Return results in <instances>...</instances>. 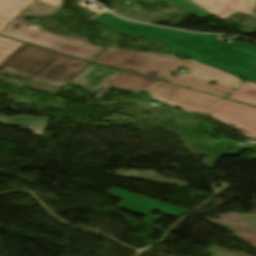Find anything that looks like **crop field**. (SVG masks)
I'll list each match as a JSON object with an SVG mask.
<instances>
[{"label": "crop field", "mask_w": 256, "mask_h": 256, "mask_svg": "<svg viewBox=\"0 0 256 256\" xmlns=\"http://www.w3.org/2000/svg\"><path fill=\"white\" fill-rule=\"evenodd\" d=\"M238 53L236 49H220L216 57L214 58V61L224 60L226 57H224V54H233Z\"/></svg>", "instance_id": "obj_19"}, {"label": "crop field", "mask_w": 256, "mask_h": 256, "mask_svg": "<svg viewBox=\"0 0 256 256\" xmlns=\"http://www.w3.org/2000/svg\"><path fill=\"white\" fill-rule=\"evenodd\" d=\"M123 71L91 63L69 85L77 86L89 94L96 95Z\"/></svg>", "instance_id": "obj_9"}, {"label": "crop field", "mask_w": 256, "mask_h": 256, "mask_svg": "<svg viewBox=\"0 0 256 256\" xmlns=\"http://www.w3.org/2000/svg\"><path fill=\"white\" fill-rule=\"evenodd\" d=\"M156 81L157 80L125 72L105 90L98 94L97 97L100 98L103 96L111 87L126 89L130 91H145Z\"/></svg>", "instance_id": "obj_12"}, {"label": "crop field", "mask_w": 256, "mask_h": 256, "mask_svg": "<svg viewBox=\"0 0 256 256\" xmlns=\"http://www.w3.org/2000/svg\"><path fill=\"white\" fill-rule=\"evenodd\" d=\"M140 38L165 40L168 42V45L164 49L174 51L185 56L188 55V53L192 50L194 45H200L204 41V37L202 34H200V36L194 35L193 37L184 40L174 39L151 33H148L144 36H140Z\"/></svg>", "instance_id": "obj_13"}, {"label": "crop field", "mask_w": 256, "mask_h": 256, "mask_svg": "<svg viewBox=\"0 0 256 256\" xmlns=\"http://www.w3.org/2000/svg\"><path fill=\"white\" fill-rule=\"evenodd\" d=\"M59 10L57 7L37 1L22 15L26 17L48 16L59 12ZM22 15L0 32V35L26 41L90 62L106 50L105 48L91 46L80 40L57 36L37 25H28L26 21L19 19Z\"/></svg>", "instance_id": "obj_2"}, {"label": "crop field", "mask_w": 256, "mask_h": 256, "mask_svg": "<svg viewBox=\"0 0 256 256\" xmlns=\"http://www.w3.org/2000/svg\"><path fill=\"white\" fill-rule=\"evenodd\" d=\"M89 64L23 44L0 64V69L63 87Z\"/></svg>", "instance_id": "obj_1"}, {"label": "crop field", "mask_w": 256, "mask_h": 256, "mask_svg": "<svg viewBox=\"0 0 256 256\" xmlns=\"http://www.w3.org/2000/svg\"><path fill=\"white\" fill-rule=\"evenodd\" d=\"M207 9L217 18H222L232 11L252 14L256 0H193Z\"/></svg>", "instance_id": "obj_11"}, {"label": "crop field", "mask_w": 256, "mask_h": 256, "mask_svg": "<svg viewBox=\"0 0 256 256\" xmlns=\"http://www.w3.org/2000/svg\"><path fill=\"white\" fill-rule=\"evenodd\" d=\"M204 36L205 41L200 46H194L187 57L256 83V56L247 59L240 56L247 52L254 51L256 48L247 43H225L217 40V35ZM220 48H236L240 53L225 55L228 58L227 60L213 62L212 60Z\"/></svg>", "instance_id": "obj_4"}, {"label": "crop field", "mask_w": 256, "mask_h": 256, "mask_svg": "<svg viewBox=\"0 0 256 256\" xmlns=\"http://www.w3.org/2000/svg\"><path fill=\"white\" fill-rule=\"evenodd\" d=\"M145 92L184 112H198L203 115H208L224 100L161 81H157Z\"/></svg>", "instance_id": "obj_6"}, {"label": "crop field", "mask_w": 256, "mask_h": 256, "mask_svg": "<svg viewBox=\"0 0 256 256\" xmlns=\"http://www.w3.org/2000/svg\"><path fill=\"white\" fill-rule=\"evenodd\" d=\"M35 0H0V30Z\"/></svg>", "instance_id": "obj_14"}, {"label": "crop field", "mask_w": 256, "mask_h": 256, "mask_svg": "<svg viewBox=\"0 0 256 256\" xmlns=\"http://www.w3.org/2000/svg\"><path fill=\"white\" fill-rule=\"evenodd\" d=\"M208 117L224 123L243 136L256 139V108L254 107L225 100Z\"/></svg>", "instance_id": "obj_7"}, {"label": "crop field", "mask_w": 256, "mask_h": 256, "mask_svg": "<svg viewBox=\"0 0 256 256\" xmlns=\"http://www.w3.org/2000/svg\"><path fill=\"white\" fill-rule=\"evenodd\" d=\"M23 43L0 37V63L18 49Z\"/></svg>", "instance_id": "obj_18"}, {"label": "crop field", "mask_w": 256, "mask_h": 256, "mask_svg": "<svg viewBox=\"0 0 256 256\" xmlns=\"http://www.w3.org/2000/svg\"><path fill=\"white\" fill-rule=\"evenodd\" d=\"M97 22L133 36H139L147 32H151V33H156L160 35L183 39V38L191 37L193 35V33L182 32V31H177L172 29L148 26V25L133 23L129 21H118L105 16L99 18Z\"/></svg>", "instance_id": "obj_10"}, {"label": "crop field", "mask_w": 256, "mask_h": 256, "mask_svg": "<svg viewBox=\"0 0 256 256\" xmlns=\"http://www.w3.org/2000/svg\"><path fill=\"white\" fill-rule=\"evenodd\" d=\"M180 61L172 56L110 47L93 62L159 79Z\"/></svg>", "instance_id": "obj_5"}, {"label": "crop field", "mask_w": 256, "mask_h": 256, "mask_svg": "<svg viewBox=\"0 0 256 256\" xmlns=\"http://www.w3.org/2000/svg\"><path fill=\"white\" fill-rule=\"evenodd\" d=\"M228 99L256 106V84L249 81L245 82Z\"/></svg>", "instance_id": "obj_17"}, {"label": "crop field", "mask_w": 256, "mask_h": 256, "mask_svg": "<svg viewBox=\"0 0 256 256\" xmlns=\"http://www.w3.org/2000/svg\"><path fill=\"white\" fill-rule=\"evenodd\" d=\"M250 160H256V155H255V157H252Z\"/></svg>", "instance_id": "obj_24"}, {"label": "crop field", "mask_w": 256, "mask_h": 256, "mask_svg": "<svg viewBox=\"0 0 256 256\" xmlns=\"http://www.w3.org/2000/svg\"><path fill=\"white\" fill-rule=\"evenodd\" d=\"M253 55H256V51H255V52L248 53V54H246V55H243V57L247 58V57H250V56H253Z\"/></svg>", "instance_id": "obj_23"}, {"label": "crop field", "mask_w": 256, "mask_h": 256, "mask_svg": "<svg viewBox=\"0 0 256 256\" xmlns=\"http://www.w3.org/2000/svg\"><path fill=\"white\" fill-rule=\"evenodd\" d=\"M232 13H233V12H232ZM230 14H231V13H230ZM228 15H229V14H228ZM228 15H227V16H228ZM227 16H226V17H227ZM226 17H224V18H226ZM224 18H223V19H224Z\"/></svg>", "instance_id": "obj_25"}, {"label": "crop field", "mask_w": 256, "mask_h": 256, "mask_svg": "<svg viewBox=\"0 0 256 256\" xmlns=\"http://www.w3.org/2000/svg\"><path fill=\"white\" fill-rule=\"evenodd\" d=\"M243 148L234 147L230 152V156H236Z\"/></svg>", "instance_id": "obj_21"}, {"label": "crop field", "mask_w": 256, "mask_h": 256, "mask_svg": "<svg viewBox=\"0 0 256 256\" xmlns=\"http://www.w3.org/2000/svg\"><path fill=\"white\" fill-rule=\"evenodd\" d=\"M102 15H105V16H108V17H112V18H115V19H119V18H117V17H115V16H113V15H111V14H109V13H105V14H100V15H98V17L95 18L93 21L96 22V20H97L100 16H102ZM119 20H121V19H119Z\"/></svg>", "instance_id": "obj_22"}, {"label": "crop field", "mask_w": 256, "mask_h": 256, "mask_svg": "<svg viewBox=\"0 0 256 256\" xmlns=\"http://www.w3.org/2000/svg\"><path fill=\"white\" fill-rule=\"evenodd\" d=\"M133 1L142 2L146 4H150L157 1L169 2L176 5L178 9L192 15H196L203 18H208L209 16L212 15L210 12L203 9L202 7H200L199 5H197L191 0H133Z\"/></svg>", "instance_id": "obj_16"}, {"label": "crop field", "mask_w": 256, "mask_h": 256, "mask_svg": "<svg viewBox=\"0 0 256 256\" xmlns=\"http://www.w3.org/2000/svg\"><path fill=\"white\" fill-rule=\"evenodd\" d=\"M178 68L186 69L189 73L181 74L177 72ZM172 72L175 73L176 76H171L170 74ZM160 79L220 95L225 98L244 83L231 74L192 59L182 60ZM213 81L216 82V84L211 85L210 82Z\"/></svg>", "instance_id": "obj_3"}, {"label": "crop field", "mask_w": 256, "mask_h": 256, "mask_svg": "<svg viewBox=\"0 0 256 256\" xmlns=\"http://www.w3.org/2000/svg\"><path fill=\"white\" fill-rule=\"evenodd\" d=\"M41 1L52 4V5L57 6L59 8L62 7V3H60L62 0H41Z\"/></svg>", "instance_id": "obj_20"}, {"label": "crop field", "mask_w": 256, "mask_h": 256, "mask_svg": "<svg viewBox=\"0 0 256 256\" xmlns=\"http://www.w3.org/2000/svg\"><path fill=\"white\" fill-rule=\"evenodd\" d=\"M105 195L123 199L118 204L119 208L147 216V218L144 220L146 225H148L156 230H158L160 228L154 226L152 223L155 222L159 218H157L153 215H150L154 209L166 212L168 214H171V215H174L177 217L181 216L182 214H184L188 211V210H184L182 208H176L174 206H171V205H168V204H165V203L153 200V199L141 197V196L123 191V190L115 188V187H113L108 192H106ZM122 202H125V203L122 204Z\"/></svg>", "instance_id": "obj_8"}, {"label": "crop field", "mask_w": 256, "mask_h": 256, "mask_svg": "<svg viewBox=\"0 0 256 256\" xmlns=\"http://www.w3.org/2000/svg\"><path fill=\"white\" fill-rule=\"evenodd\" d=\"M0 122L16 125L29 126L36 135H44L48 118H34L26 116L3 117L0 115Z\"/></svg>", "instance_id": "obj_15"}]
</instances>
